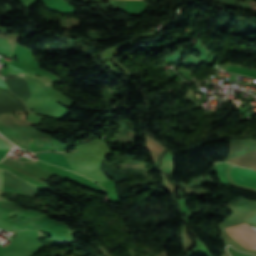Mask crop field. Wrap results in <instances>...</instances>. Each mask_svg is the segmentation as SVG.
Returning a JSON list of instances; mask_svg holds the SVG:
<instances>
[{
    "label": "crop field",
    "instance_id": "10",
    "mask_svg": "<svg viewBox=\"0 0 256 256\" xmlns=\"http://www.w3.org/2000/svg\"><path fill=\"white\" fill-rule=\"evenodd\" d=\"M16 231V230H15ZM11 232H13V231H11Z\"/></svg>",
    "mask_w": 256,
    "mask_h": 256
},
{
    "label": "crop field",
    "instance_id": "4",
    "mask_svg": "<svg viewBox=\"0 0 256 256\" xmlns=\"http://www.w3.org/2000/svg\"><path fill=\"white\" fill-rule=\"evenodd\" d=\"M43 3L45 7L49 10L59 11L67 14H70L74 11V9L71 8L63 0H44Z\"/></svg>",
    "mask_w": 256,
    "mask_h": 256
},
{
    "label": "crop field",
    "instance_id": "1",
    "mask_svg": "<svg viewBox=\"0 0 256 256\" xmlns=\"http://www.w3.org/2000/svg\"><path fill=\"white\" fill-rule=\"evenodd\" d=\"M229 235L247 249H256V229L246 223L227 227Z\"/></svg>",
    "mask_w": 256,
    "mask_h": 256
},
{
    "label": "crop field",
    "instance_id": "3",
    "mask_svg": "<svg viewBox=\"0 0 256 256\" xmlns=\"http://www.w3.org/2000/svg\"><path fill=\"white\" fill-rule=\"evenodd\" d=\"M9 90L17 95L24 102L30 97V89L25 81L22 78L15 79H5L4 80Z\"/></svg>",
    "mask_w": 256,
    "mask_h": 256
},
{
    "label": "crop field",
    "instance_id": "9",
    "mask_svg": "<svg viewBox=\"0 0 256 256\" xmlns=\"http://www.w3.org/2000/svg\"><path fill=\"white\" fill-rule=\"evenodd\" d=\"M0 87L7 88L5 83L0 79ZM8 89V88H7Z\"/></svg>",
    "mask_w": 256,
    "mask_h": 256
},
{
    "label": "crop field",
    "instance_id": "2",
    "mask_svg": "<svg viewBox=\"0 0 256 256\" xmlns=\"http://www.w3.org/2000/svg\"><path fill=\"white\" fill-rule=\"evenodd\" d=\"M231 176L241 185L256 188V172L250 169L238 168L232 165Z\"/></svg>",
    "mask_w": 256,
    "mask_h": 256
},
{
    "label": "crop field",
    "instance_id": "5",
    "mask_svg": "<svg viewBox=\"0 0 256 256\" xmlns=\"http://www.w3.org/2000/svg\"><path fill=\"white\" fill-rule=\"evenodd\" d=\"M10 45V44H9ZM8 45V42L6 39L0 38V52L5 54H10L11 46Z\"/></svg>",
    "mask_w": 256,
    "mask_h": 256
},
{
    "label": "crop field",
    "instance_id": "8",
    "mask_svg": "<svg viewBox=\"0 0 256 256\" xmlns=\"http://www.w3.org/2000/svg\"><path fill=\"white\" fill-rule=\"evenodd\" d=\"M0 189H2V170H0Z\"/></svg>",
    "mask_w": 256,
    "mask_h": 256
},
{
    "label": "crop field",
    "instance_id": "6",
    "mask_svg": "<svg viewBox=\"0 0 256 256\" xmlns=\"http://www.w3.org/2000/svg\"><path fill=\"white\" fill-rule=\"evenodd\" d=\"M14 145L9 143L7 140H5L1 135H0V148L1 149H11L13 148Z\"/></svg>",
    "mask_w": 256,
    "mask_h": 256
},
{
    "label": "crop field",
    "instance_id": "7",
    "mask_svg": "<svg viewBox=\"0 0 256 256\" xmlns=\"http://www.w3.org/2000/svg\"><path fill=\"white\" fill-rule=\"evenodd\" d=\"M8 68H9V71H11L13 73H26V72H24V71H22V70H20L18 68H15V67H13L11 65H8Z\"/></svg>",
    "mask_w": 256,
    "mask_h": 256
}]
</instances>
